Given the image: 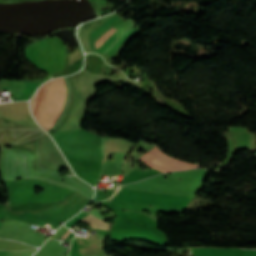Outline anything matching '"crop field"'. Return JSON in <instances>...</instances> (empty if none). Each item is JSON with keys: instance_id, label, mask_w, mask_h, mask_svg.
<instances>
[{"instance_id": "obj_3", "label": "crop field", "mask_w": 256, "mask_h": 256, "mask_svg": "<svg viewBox=\"0 0 256 256\" xmlns=\"http://www.w3.org/2000/svg\"><path fill=\"white\" fill-rule=\"evenodd\" d=\"M166 156L155 147L151 151L143 155L140 159H142L145 163H147L152 168L163 171V172L175 171V170H187V169L197 167L194 164L168 158L169 156L168 157Z\"/></svg>"}, {"instance_id": "obj_5", "label": "crop field", "mask_w": 256, "mask_h": 256, "mask_svg": "<svg viewBox=\"0 0 256 256\" xmlns=\"http://www.w3.org/2000/svg\"><path fill=\"white\" fill-rule=\"evenodd\" d=\"M92 214V213H91ZM89 215V216H87L84 220H82L83 222H87V223H90L91 224V226H94V227H100V228H104V229H110V223H103V221L101 220V219H99V218H97V217H95V216H93V215ZM104 220V219H103Z\"/></svg>"}, {"instance_id": "obj_2", "label": "crop field", "mask_w": 256, "mask_h": 256, "mask_svg": "<svg viewBox=\"0 0 256 256\" xmlns=\"http://www.w3.org/2000/svg\"><path fill=\"white\" fill-rule=\"evenodd\" d=\"M120 189L111 197L119 192ZM193 198L121 189L114 200L185 209Z\"/></svg>"}, {"instance_id": "obj_4", "label": "crop field", "mask_w": 256, "mask_h": 256, "mask_svg": "<svg viewBox=\"0 0 256 256\" xmlns=\"http://www.w3.org/2000/svg\"><path fill=\"white\" fill-rule=\"evenodd\" d=\"M118 18L117 14L112 16L111 18L107 19L106 21H104L103 23H101L99 26H97L95 29H93L89 35L91 43L93 48H97V46H99L104 40H106L111 34H113L116 30H118V28L113 27L110 30H108L106 33H104L97 41V46L94 42V34L100 30L101 28H103L105 25H107L109 22H111L112 20ZM115 39L109 37L102 45H100V47L96 50L99 52H103Z\"/></svg>"}, {"instance_id": "obj_6", "label": "crop field", "mask_w": 256, "mask_h": 256, "mask_svg": "<svg viewBox=\"0 0 256 256\" xmlns=\"http://www.w3.org/2000/svg\"><path fill=\"white\" fill-rule=\"evenodd\" d=\"M71 233H72V232L69 230V231L62 237V239L65 240Z\"/></svg>"}, {"instance_id": "obj_1", "label": "crop field", "mask_w": 256, "mask_h": 256, "mask_svg": "<svg viewBox=\"0 0 256 256\" xmlns=\"http://www.w3.org/2000/svg\"><path fill=\"white\" fill-rule=\"evenodd\" d=\"M67 97L68 85L63 77L42 85L32 99V112L47 132L53 129L60 117Z\"/></svg>"}]
</instances>
